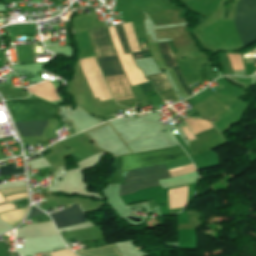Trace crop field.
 I'll return each instance as SVG.
<instances>
[{
    "label": "crop field",
    "instance_id": "crop-field-1",
    "mask_svg": "<svg viewBox=\"0 0 256 256\" xmlns=\"http://www.w3.org/2000/svg\"><path fill=\"white\" fill-rule=\"evenodd\" d=\"M5 103L13 122L55 119L58 107L39 98L11 100Z\"/></svg>",
    "mask_w": 256,
    "mask_h": 256
},
{
    "label": "crop field",
    "instance_id": "crop-field-2",
    "mask_svg": "<svg viewBox=\"0 0 256 256\" xmlns=\"http://www.w3.org/2000/svg\"><path fill=\"white\" fill-rule=\"evenodd\" d=\"M96 55L115 54L106 27L88 31ZM105 79L124 75L115 55L96 56Z\"/></svg>",
    "mask_w": 256,
    "mask_h": 256
},
{
    "label": "crop field",
    "instance_id": "crop-field-3",
    "mask_svg": "<svg viewBox=\"0 0 256 256\" xmlns=\"http://www.w3.org/2000/svg\"><path fill=\"white\" fill-rule=\"evenodd\" d=\"M186 157L179 145L170 148L127 155L123 157L122 171L175 161Z\"/></svg>",
    "mask_w": 256,
    "mask_h": 256
},
{
    "label": "crop field",
    "instance_id": "crop-field-4",
    "mask_svg": "<svg viewBox=\"0 0 256 256\" xmlns=\"http://www.w3.org/2000/svg\"><path fill=\"white\" fill-rule=\"evenodd\" d=\"M243 46L256 41V0H240L234 20Z\"/></svg>",
    "mask_w": 256,
    "mask_h": 256
},
{
    "label": "crop field",
    "instance_id": "crop-field-5",
    "mask_svg": "<svg viewBox=\"0 0 256 256\" xmlns=\"http://www.w3.org/2000/svg\"><path fill=\"white\" fill-rule=\"evenodd\" d=\"M122 174L126 183H136L140 181L164 179L170 177L165 165L137 169L124 172Z\"/></svg>",
    "mask_w": 256,
    "mask_h": 256
},
{
    "label": "crop field",
    "instance_id": "crop-field-6",
    "mask_svg": "<svg viewBox=\"0 0 256 256\" xmlns=\"http://www.w3.org/2000/svg\"><path fill=\"white\" fill-rule=\"evenodd\" d=\"M49 215L52 217L57 229L87 221L77 204L71 205L67 209Z\"/></svg>",
    "mask_w": 256,
    "mask_h": 256
},
{
    "label": "crop field",
    "instance_id": "crop-field-7",
    "mask_svg": "<svg viewBox=\"0 0 256 256\" xmlns=\"http://www.w3.org/2000/svg\"><path fill=\"white\" fill-rule=\"evenodd\" d=\"M158 47L163 58V61L167 67V69L177 67L176 61L172 54V51L167 42L158 43ZM183 90L186 92L187 95L192 94L179 67L173 69Z\"/></svg>",
    "mask_w": 256,
    "mask_h": 256
},
{
    "label": "crop field",
    "instance_id": "crop-field-8",
    "mask_svg": "<svg viewBox=\"0 0 256 256\" xmlns=\"http://www.w3.org/2000/svg\"><path fill=\"white\" fill-rule=\"evenodd\" d=\"M21 137L41 135V132L47 125V120L36 122H18L15 123Z\"/></svg>",
    "mask_w": 256,
    "mask_h": 256
},
{
    "label": "crop field",
    "instance_id": "crop-field-9",
    "mask_svg": "<svg viewBox=\"0 0 256 256\" xmlns=\"http://www.w3.org/2000/svg\"><path fill=\"white\" fill-rule=\"evenodd\" d=\"M80 256H120L114 244L76 252Z\"/></svg>",
    "mask_w": 256,
    "mask_h": 256
},
{
    "label": "crop field",
    "instance_id": "crop-field-10",
    "mask_svg": "<svg viewBox=\"0 0 256 256\" xmlns=\"http://www.w3.org/2000/svg\"><path fill=\"white\" fill-rule=\"evenodd\" d=\"M27 209L28 208L25 207L17 210L6 211L0 214V219L9 223L14 228L24 218Z\"/></svg>",
    "mask_w": 256,
    "mask_h": 256
},
{
    "label": "crop field",
    "instance_id": "crop-field-11",
    "mask_svg": "<svg viewBox=\"0 0 256 256\" xmlns=\"http://www.w3.org/2000/svg\"><path fill=\"white\" fill-rule=\"evenodd\" d=\"M158 185H160L158 180L145 182V183H140V184H134V185H121V187H120V196L136 192V190H139V189L152 187V186H158Z\"/></svg>",
    "mask_w": 256,
    "mask_h": 256
},
{
    "label": "crop field",
    "instance_id": "crop-field-12",
    "mask_svg": "<svg viewBox=\"0 0 256 256\" xmlns=\"http://www.w3.org/2000/svg\"><path fill=\"white\" fill-rule=\"evenodd\" d=\"M147 47L159 68L165 67L159 54L157 44H147Z\"/></svg>",
    "mask_w": 256,
    "mask_h": 256
},
{
    "label": "crop field",
    "instance_id": "crop-field-13",
    "mask_svg": "<svg viewBox=\"0 0 256 256\" xmlns=\"http://www.w3.org/2000/svg\"><path fill=\"white\" fill-rule=\"evenodd\" d=\"M17 173H24V170L23 168L15 169L14 163L8 164V166L5 167H0V176Z\"/></svg>",
    "mask_w": 256,
    "mask_h": 256
},
{
    "label": "crop field",
    "instance_id": "crop-field-14",
    "mask_svg": "<svg viewBox=\"0 0 256 256\" xmlns=\"http://www.w3.org/2000/svg\"><path fill=\"white\" fill-rule=\"evenodd\" d=\"M140 46V49L142 52L139 53H133L131 54L133 59H137V58H143V57H149L151 56L145 46V39H138L137 40Z\"/></svg>",
    "mask_w": 256,
    "mask_h": 256
},
{
    "label": "crop field",
    "instance_id": "crop-field-15",
    "mask_svg": "<svg viewBox=\"0 0 256 256\" xmlns=\"http://www.w3.org/2000/svg\"><path fill=\"white\" fill-rule=\"evenodd\" d=\"M194 171H195V168H194L193 164L187 165V166H184V167H180V168H176V169H173V170H169L172 177L182 175V174H186V173H190V172H194Z\"/></svg>",
    "mask_w": 256,
    "mask_h": 256
},
{
    "label": "crop field",
    "instance_id": "crop-field-16",
    "mask_svg": "<svg viewBox=\"0 0 256 256\" xmlns=\"http://www.w3.org/2000/svg\"><path fill=\"white\" fill-rule=\"evenodd\" d=\"M115 27H116L117 34H118V36H119V39H120V41H121L122 47H123V49H124V52H125V53L130 52V51H129V48H128V45H127V43H126L124 34H123L122 26H121V25H117V26H115Z\"/></svg>",
    "mask_w": 256,
    "mask_h": 256
},
{
    "label": "crop field",
    "instance_id": "crop-field-17",
    "mask_svg": "<svg viewBox=\"0 0 256 256\" xmlns=\"http://www.w3.org/2000/svg\"><path fill=\"white\" fill-rule=\"evenodd\" d=\"M0 256H15V253H7L6 241L0 242Z\"/></svg>",
    "mask_w": 256,
    "mask_h": 256
},
{
    "label": "crop field",
    "instance_id": "crop-field-18",
    "mask_svg": "<svg viewBox=\"0 0 256 256\" xmlns=\"http://www.w3.org/2000/svg\"><path fill=\"white\" fill-rule=\"evenodd\" d=\"M50 255L51 256H75L73 253H71L67 249L56 251V252H52Z\"/></svg>",
    "mask_w": 256,
    "mask_h": 256
},
{
    "label": "crop field",
    "instance_id": "crop-field-19",
    "mask_svg": "<svg viewBox=\"0 0 256 256\" xmlns=\"http://www.w3.org/2000/svg\"><path fill=\"white\" fill-rule=\"evenodd\" d=\"M26 196H28L27 193H20V194L5 196V199H6V201H9V200H13V199L20 198V197H26Z\"/></svg>",
    "mask_w": 256,
    "mask_h": 256
},
{
    "label": "crop field",
    "instance_id": "crop-field-20",
    "mask_svg": "<svg viewBox=\"0 0 256 256\" xmlns=\"http://www.w3.org/2000/svg\"><path fill=\"white\" fill-rule=\"evenodd\" d=\"M181 129H182L183 133L185 134V136L187 137L188 141L194 139L193 135L191 134V132H190V130L188 129L187 126L186 127H182Z\"/></svg>",
    "mask_w": 256,
    "mask_h": 256
},
{
    "label": "crop field",
    "instance_id": "crop-field-21",
    "mask_svg": "<svg viewBox=\"0 0 256 256\" xmlns=\"http://www.w3.org/2000/svg\"><path fill=\"white\" fill-rule=\"evenodd\" d=\"M40 215H44V213L36 208H33L30 212V215L28 217L29 218H33V217H37V216H40Z\"/></svg>",
    "mask_w": 256,
    "mask_h": 256
},
{
    "label": "crop field",
    "instance_id": "crop-field-22",
    "mask_svg": "<svg viewBox=\"0 0 256 256\" xmlns=\"http://www.w3.org/2000/svg\"><path fill=\"white\" fill-rule=\"evenodd\" d=\"M110 96H111V95H110ZM111 99H113L112 96H111Z\"/></svg>",
    "mask_w": 256,
    "mask_h": 256
},
{
    "label": "crop field",
    "instance_id": "crop-field-23",
    "mask_svg": "<svg viewBox=\"0 0 256 256\" xmlns=\"http://www.w3.org/2000/svg\"><path fill=\"white\" fill-rule=\"evenodd\" d=\"M44 223V222H43ZM40 224V223H39Z\"/></svg>",
    "mask_w": 256,
    "mask_h": 256
}]
</instances>
